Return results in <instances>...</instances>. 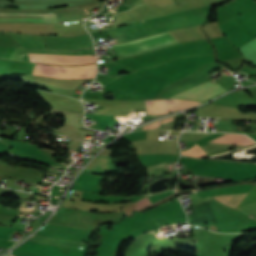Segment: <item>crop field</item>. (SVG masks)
Masks as SVG:
<instances>
[{
    "label": "crop field",
    "mask_w": 256,
    "mask_h": 256,
    "mask_svg": "<svg viewBox=\"0 0 256 256\" xmlns=\"http://www.w3.org/2000/svg\"><path fill=\"white\" fill-rule=\"evenodd\" d=\"M145 102L148 114L174 112L200 104L199 102L175 99L145 100Z\"/></svg>",
    "instance_id": "obj_2"
},
{
    "label": "crop field",
    "mask_w": 256,
    "mask_h": 256,
    "mask_svg": "<svg viewBox=\"0 0 256 256\" xmlns=\"http://www.w3.org/2000/svg\"><path fill=\"white\" fill-rule=\"evenodd\" d=\"M246 193L216 197L214 199L222 202L225 205H228V206H231V207L235 208L239 204V202L242 200V198L246 195Z\"/></svg>",
    "instance_id": "obj_7"
},
{
    "label": "crop field",
    "mask_w": 256,
    "mask_h": 256,
    "mask_svg": "<svg viewBox=\"0 0 256 256\" xmlns=\"http://www.w3.org/2000/svg\"><path fill=\"white\" fill-rule=\"evenodd\" d=\"M181 155L200 158L206 155V152L199 144L196 143L190 149L181 151Z\"/></svg>",
    "instance_id": "obj_8"
},
{
    "label": "crop field",
    "mask_w": 256,
    "mask_h": 256,
    "mask_svg": "<svg viewBox=\"0 0 256 256\" xmlns=\"http://www.w3.org/2000/svg\"><path fill=\"white\" fill-rule=\"evenodd\" d=\"M0 14L56 15L55 12H26V11H0ZM0 21L58 22L57 19H27V18H0Z\"/></svg>",
    "instance_id": "obj_5"
},
{
    "label": "crop field",
    "mask_w": 256,
    "mask_h": 256,
    "mask_svg": "<svg viewBox=\"0 0 256 256\" xmlns=\"http://www.w3.org/2000/svg\"><path fill=\"white\" fill-rule=\"evenodd\" d=\"M167 37H171L168 32L162 33V34H158V35H154V36H150V37H146V38H142V39H139V40H136V41H132V42H129V43L118 44V45H115L114 50L116 51V50H120V49H124V48H128V47L140 45V44H143V43H147V42H151V41L167 38ZM169 39H173V37L167 38V39H163V40H159V41H155V42H151V43H147V44L136 46V47H132V48H128V49H124V50H120V51H116V53L122 52V51H126V50H130V49H134V48H138V47H142V46L153 44V43H157V42H161V41H165V40H169ZM173 43H177V41L175 39H173V40H169V41H165V42L149 45V46H146V47H142V48H138V49H134V50L118 53V55L120 57L133 56V55H137V54H140V53H143V52H146V51L158 48V47L170 45V44H173Z\"/></svg>",
    "instance_id": "obj_1"
},
{
    "label": "crop field",
    "mask_w": 256,
    "mask_h": 256,
    "mask_svg": "<svg viewBox=\"0 0 256 256\" xmlns=\"http://www.w3.org/2000/svg\"><path fill=\"white\" fill-rule=\"evenodd\" d=\"M222 92L224 91L218 84L211 86L208 82H206L202 85H199L193 89H190L172 98H184V99L205 101Z\"/></svg>",
    "instance_id": "obj_4"
},
{
    "label": "crop field",
    "mask_w": 256,
    "mask_h": 256,
    "mask_svg": "<svg viewBox=\"0 0 256 256\" xmlns=\"http://www.w3.org/2000/svg\"><path fill=\"white\" fill-rule=\"evenodd\" d=\"M214 141L234 143V144H239V145H249V144L256 143L248 137L239 136V135H231V134H225L217 139H214Z\"/></svg>",
    "instance_id": "obj_6"
},
{
    "label": "crop field",
    "mask_w": 256,
    "mask_h": 256,
    "mask_svg": "<svg viewBox=\"0 0 256 256\" xmlns=\"http://www.w3.org/2000/svg\"><path fill=\"white\" fill-rule=\"evenodd\" d=\"M29 60L37 63L60 64V65H80L96 62L95 56L69 57V56H52L28 54Z\"/></svg>",
    "instance_id": "obj_3"
},
{
    "label": "crop field",
    "mask_w": 256,
    "mask_h": 256,
    "mask_svg": "<svg viewBox=\"0 0 256 256\" xmlns=\"http://www.w3.org/2000/svg\"><path fill=\"white\" fill-rule=\"evenodd\" d=\"M88 13V12H87ZM89 14V13H88Z\"/></svg>",
    "instance_id": "obj_9"
}]
</instances>
